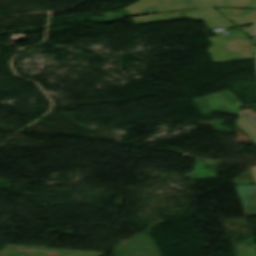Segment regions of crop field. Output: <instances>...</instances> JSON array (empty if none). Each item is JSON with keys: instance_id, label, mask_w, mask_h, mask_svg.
I'll use <instances>...</instances> for the list:
<instances>
[{"instance_id": "e52e79f7", "label": "crop field", "mask_w": 256, "mask_h": 256, "mask_svg": "<svg viewBox=\"0 0 256 256\" xmlns=\"http://www.w3.org/2000/svg\"><path fill=\"white\" fill-rule=\"evenodd\" d=\"M234 122L244 133L248 134L250 139L256 144V118L240 117Z\"/></svg>"}, {"instance_id": "34b2d1b8", "label": "crop field", "mask_w": 256, "mask_h": 256, "mask_svg": "<svg viewBox=\"0 0 256 256\" xmlns=\"http://www.w3.org/2000/svg\"><path fill=\"white\" fill-rule=\"evenodd\" d=\"M189 18L191 20H204L208 28L219 27V26H232L230 25L221 15L212 9L179 12L171 14L134 17L131 18L136 25L155 23L169 20H177Z\"/></svg>"}, {"instance_id": "f4fd0767", "label": "crop field", "mask_w": 256, "mask_h": 256, "mask_svg": "<svg viewBox=\"0 0 256 256\" xmlns=\"http://www.w3.org/2000/svg\"><path fill=\"white\" fill-rule=\"evenodd\" d=\"M193 102L200 112L221 111L233 114V112L215 94L193 99Z\"/></svg>"}, {"instance_id": "dd49c442", "label": "crop field", "mask_w": 256, "mask_h": 256, "mask_svg": "<svg viewBox=\"0 0 256 256\" xmlns=\"http://www.w3.org/2000/svg\"><path fill=\"white\" fill-rule=\"evenodd\" d=\"M237 26L256 23V11L216 9Z\"/></svg>"}, {"instance_id": "412701ff", "label": "crop field", "mask_w": 256, "mask_h": 256, "mask_svg": "<svg viewBox=\"0 0 256 256\" xmlns=\"http://www.w3.org/2000/svg\"><path fill=\"white\" fill-rule=\"evenodd\" d=\"M247 216L256 215V185L234 186Z\"/></svg>"}, {"instance_id": "5a996713", "label": "crop field", "mask_w": 256, "mask_h": 256, "mask_svg": "<svg viewBox=\"0 0 256 256\" xmlns=\"http://www.w3.org/2000/svg\"><path fill=\"white\" fill-rule=\"evenodd\" d=\"M234 184H255L250 170L232 179Z\"/></svg>"}, {"instance_id": "d8731c3e", "label": "crop field", "mask_w": 256, "mask_h": 256, "mask_svg": "<svg viewBox=\"0 0 256 256\" xmlns=\"http://www.w3.org/2000/svg\"><path fill=\"white\" fill-rule=\"evenodd\" d=\"M234 113H239L238 109L243 104L235 98L230 91H224L216 94Z\"/></svg>"}, {"instance_id": "28ad6ade", "label": "crop field", "mask_w": 256, "mask_h": 256, "mask_svg": "<svg viewBox=\"0 0 256 256\" xmlns=\"http://www.w3.org/2000/svg\"><path fill=\"white\" fill-rule=\"evenodd\" d=\"M253 171H254V173H255V176H256V168H255V169H253Z\"/></svg>"}, {"instance_id": "3316defc", "label": "crop field", "mask_w": 256, "mask_h": 256, "mask_svg": "<svg viewBox=\"0 0 256 256\" xmlns=\"http://www.w3.org/2000/svg\"><path fill=\"white\" fill-rule=\"evenodd\" d=\"M254 28L255 26H251L250 28L243 27L241 28L246 34L249 36L254 35Z\"/></svg>"}, {"instance_id": "ac0d7876", "label": "crop field", "mask_w": 256, "mask_h": 256, "mask_svg": "<svg viewBox=\"0 0 256 256\" xmlns=\"http://www.w3.org/2000/svg\"><path fill=\"white\" fill-rule=\"evenodd\" d=\"M209 4H233L256 7V0H139L125 9L129 16H136L153 14L155 11L159 10L196 7Z\"/></svg>"}, {"instance_id": "8a807250", "label": "crop field", "mask_w": 256, "mask_h": 256, "mask_svg": "<svg viewBox=\"0 0 256 256\" xmlns=\"http://www.w3.org/2000/svg\"><path fill=\"white\" fill-rule=\"evenodd\" d=\"M208 47L213 63L255 59L254 43L244 33L211 38Z\"/></svg>"}]
</instances>
